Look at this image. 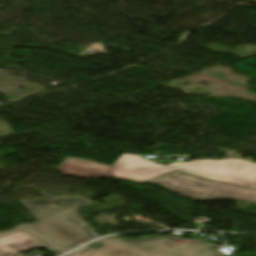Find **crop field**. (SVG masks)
Segmentation results:
<instances>
[{"mask_svg":"<svg viewBox=\"0 0 256 256\" xmlns=\"http://www.w3.org/2000/svg\"><path fill=\"white\" fill-rule=\"evenodd\" d=\"M216 245L172 236L147 237L100 256H221Z\"/></svg>","mask_w":256,"mask_h":256,"instance_id":"obj_4","label":"crop field"},{"mask_svg":"<svg viewBox=\"0 0 256 256\" xmlns=\"http://www.w3.org/2000/svg\"><path fill=\"white\" fill-rule=\"evenodd\" d=\"M150 182L161 184L171 191L198 200L231 199L256 203L255 190L216 183L180 172H173Z\"/></svg>","mask_w":256,"mask_h":256,"instance_id":"obj_3","label":"crop field"},{"mask_svg":"<svg viewBox=\"0 0 256 256\" xmlns=\"http://www.w3.org/2000/svg\"><path fill=\"white\" fill-rule=\"evenodd\" d=\"M41 194L46 199L20 201L38 222L17 225L13 230L0 233V237L31 226L66 251L98 237L94 229L80 219L76 209L91 201L84 198H53L46 192Z\"/></svg>","mask_w":256,"mask_h":256,"instance_id":"obj_2","label":"crop field"},{"mask_svg":"<svg viewBox=\"0 0 256 256\" xmlns=\"http://www.w3.org/2000/svg\"><path fill=\"white\" fill-rule=\"evenodd\" d=\"M252 158L227 159L221 161L193 160L186 163L176 162L167 166L157 165L141 155L122 154L112 176L119 179L144 182L174 170L256 188V164ZM113 166V165H112Z\"/></svg>","mask_w":256,"mask_h":256,"instance_id":"obj_1","label":"crop field"},{"mask_svg":"<svg viewBox=\"0 0 256 256\" xmlns=\"http://www.w3.org/2000/svg\"><path fill=\"white\" fill-rule=\"evenodd\" d=\"M140 239L131 240L127 238H119L118 236L107 237L99 239L78 251L75 250L76 252L73 251L74 253H71L67 256H97L113 249L133 243Z\"/></svg>","mask_w":256,"mask_h":256,"instance_id":"obj_7","label":"crop field"},{"mask_svg":"<svg viewBox=\"0 0 256 256\" xmlns=\"http://www.w3.org/2000/svg\"><path fill=\"white\" fill-rule=\"evenodd\" d=\"M114 167L99 165L92 161L66 157L58 167L62 173L76 177L109 178Z\"/></svg>","mask_w":256,"mask_h":256,"instance_id":"obj_5","label":"crop field"},{"mask_svg":"<svg viewBox=\"0 0 256 256\" xmlns=\"http://www.w3.org/2000/svg\"><path fill=\"white\" fill-rule=\"evenodd\" d=\"M21 231L24 232L25 234H27L28 236H30L35 241L42 244L44 246V248L53 252L56 255H59V254L65 252L63 249H61L60 247H58L57 245L52 243L50 240H48L46 237H44L42 234H40L39 232H37L36 230H34L31 227L28 229H25V230H21Z\"/></svg>","mask_w":256,"mask_h":256,"instance_id":"obj_8","label":"crop field"},{"mask_svg":"<svg viewBox=\"0 0 256 256\" xmlns=\"http://www.w3.org/2000/svg\"><path fill=\"white\" fill-rule=\"evenodd\" d=\"M38 247L42 246L20 231L0 238V256H22L18 252Z\"/></svg>","mask_w":256,"mask_h":256,"instance_id":"obj_6","label":"crop field"}]
</instances>
